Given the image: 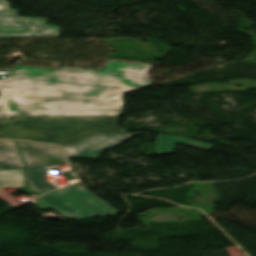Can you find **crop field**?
<instances>
[{"instance_id": "8a807250", "label": "crop field", "mask_w": 256, "mask_h": 256, "mask_svg": "<svg viewBox=\"0 0 256 256\" xmlns=\"http://www.w3.org/2000/svg\"><path fill=\"white\" fill-rule=\"evenodd\" d=\"M151 65L108 61L102 70L17 65L0 88L17 89V98H2L0 121L9 115H117L121 101L109 99L153 85Z\"/></svg>"}, {"instance_id": "ac0d7876", "label": "crop field", "mask_w": 256, "mask_h": 256, "mask_svg": "<svg viewBox=\"0 0 256 256\" xmlns=\"http://www.w3.org/2000/svg\"><path fill=\"white\" fill-rule=\"evenodd\" d=\"M7 124L16 139L75 145L93 135L126 132L117 116H12Z\"/></svg>"}, {"instance_id": "34b2d1b8", "label": "crop field", "mask_w": 256, "mask_h": 256, "mask_svg": "<svg viewBox=\"0 0 256 256\" xmlns=\"http://www.w3.org/2000/svg\"><path fill=\"white\" fill-rule=\"evenodd\" d=\"M36 200L48 209L53 208L66 219L106 217L119 213L79 183Z\"/></svg>"}, {"instance_id": "412701ff", "label": "crop field", "mask_w": 256, "mask_h": 256, "mask_svg": "<svg viewBox=\"0 0 256 256\" xmlns=\"http://www.w3.org/2000/svg\"><path fill=\"white\" fill-rule=\"evenodd\" d=\"M60 30L56 26H47L46 18L18 17V10L10 9L6 0H0V39L58 38Z\"/></svg>"}, {"instance_id": "f4fd0767", "label": "crop field", "mask_w": 256, "mask_h": 256, "mask_svg": "<svg viewBox=\"0 0 256 256\" xmlns=\"http://www.w3.org/2000/svg\"><path fill=\"white\" fill-rule=\"evenodd\" d=\"M139 133L141 132L93 136L73 147H63L67 157L95 159L106 148H111Z\"/></svg>"}, {"instance_id": "dd49c442", "label": "crop field", "mask_w": 256, "mask_h": 256, "mask_svg": "<svg viewBox=\"0 0 256 256\" xmlns=\"http://www.w3.org/2000/svg\"><path fill=\"white\" fill-rule=\"evenodd\" d=\"M18 142L27 167L66 164L59 147Z\"/></svg>"}, {"instance_id": "e52e79f7", "label": "crop field", "mask_w": 256, "mask_h": 256, "mask_svg": "<svg viewBox=\"0 0 256 256\" xmlns=\"http://www.w3.org/2000/svg\"><path fill=\"white\" fill-rule=\"evenodd\" d=\"M174 143L184 144V145L205 149V150H212L214 147L213 145H209L206 143H202V142L187 139V138L158 134L155 149H154V154L156 155V154L174 153Z\"/></svg>"}, {"instance_id": "d8731c3e", "label": "crop field", "mask_w": 256, "mask_h": 256, "mask_svg": "<svg viewBox=\"0 0 256 256\" xmlns=\"http://www.w3.org/2000/svg\"><path fill=\"white\" fill-rule=\"evenodd\" d=\"M22 170L23 169L0 171V197L12 206H18L22 203L10 196L2 188H18L25 186Z\"/></svg>"}, {"instance_id": "5a996713", "label": "crop field", "mask_w": 256, "mask_h": 256, "mask_svg": "<svg viewBox=\"0 0 256 256\" xmlns=\"http://www.w3.org/2000/svg\"><path fill=\"white\" fill-rule=\"evenodd\" d=\"M24 167L16 142L0 141V170Z\"/></svg>"}, {"instance_id": "3316defc", "label": "crop field", "mask_w": 256, "mask_h": 256, "mask_svg": "<svg viewBox=\"0 0 256 256\" xmlns=\"http://www.w3.org/2000/svg\"><path fill=\"white\" fill-rule=\"evenodd\" d=\"M49 167L51 166L27 168L25 170L27 185L30 191L45 193L56 188L54 184L47 183L44 178Z\"/></svg>"}, {"instance_id": "28ad6ade", "label": "crop field", "mask_w": 256, "mask_h": 256, "mask_svg": "<svg viewBox=\"0 0 256 256\" xmlns=\"http://www.w3.org/2000/svg\"><path fill=\"white\" fill-rule=\"evenodd\" d=\"M17 93V90L0 89V97H16ZM0 101H2L1 98Z\"/></svg>"}, {"instance_id": "d1516ede", "label": "crop field", "mask_w": 256, "mask_h": 256, "mask_svg": "<svg viewBox=\"0 0 256 256\" xmlns=\"http://www.w3.org/2000/svg\"><path fill=\"white\" fill-rule=\"evenodd\" d=\"M4 123H6V122L0 123V138L11 137V135L6 130Z\"/></svg>"}, {"instance_id": "22f410ed", "label": "crop field", "mask_w": 256, "mask_h": 256, "mask_svg": "<svg viewBox=\"0 0 256 256\" xmlns=\"http://www.w3.org/2000/svg\"><path fill=\"white\" fill-rule=\"evenodd\" d=\"M18 190H20V191H22V192H25V193H27V194H30V196L28 197V198H30V199H32V198L36 197L37 195H39V194H37V193H31V192H29V191L26 189V187L18 188Z\"/></svg>"}]
</instances>
